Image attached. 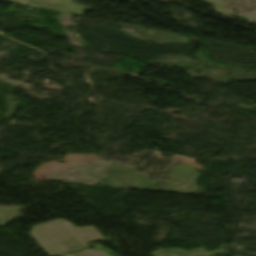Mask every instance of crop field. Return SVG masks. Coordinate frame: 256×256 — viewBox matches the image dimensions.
I'll list each match as a JSON object with an SVG mask.
<instances>
[{"label": "crop field", "mask_w": 256, "mask_h": 256, "mask_svg": "<svg viewBox=\"0 0 256 256\" xmlns=\"http://www.w3.org/2000/svg\"><path fill=\"white\" fill-rule=\"evenodd\" d=\"M29 234L50 256H109L86 245L104 240L94 227L79 228L59 219L36 225Z\"/></svg>", "instance_id": "1"}]
</instances>
